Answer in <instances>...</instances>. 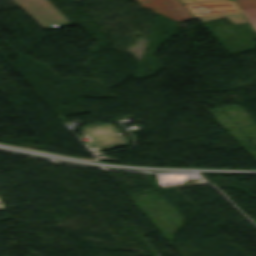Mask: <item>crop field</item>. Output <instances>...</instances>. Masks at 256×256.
Wrapping results in <instances>:
<instances>
[{"mask_svg":"<svg viewBox=\"0 0 256 256\" xmlns=\"http://www.w3.org/2000/svg\"><path fill=\"white\" fill-rule=\"evenodd\" d=\"M210 1H221V0H210Z\"/></svg>","mask_w":256,"mask_h":256,"instance_id":"7","label":"crop field"},{"mask_svg":"<svg viewBox=\"0 0 256 256\" xmlns=\"http://www.w3.org/2000/svg\"><path fill=\"white\" fill-rule=\"evenodd\" d=\"M256 29V8L242 10Z\"/></svg>","mask_w":256,"mask_h":256,"instance_id":"5","label":"crop field"},{"mask_svg":"<svg viewBox=\"0 0 256 256\" xmlns=\"http://www.w3.org/2000/svg\"><path fill=\"white\" fill-rule=\"evenodd\" d=\"M184 5L202 22L216 18H228L234 24L247 22L232 1L190 3Z\"/></svg>","mask_w":256,"mask_h":256,"instance_id":"2","label":"crop field"},{"mask_svg":"<svg viewBox=\"0 0 256 256\" xmlns=\"http://www.w3.org/2000/svg\"><path fill=\"white\" fill-rule=\"evenodd\" d=\"M241 9L256 7V0H235Z\"/></svg>","mask_w":256,"mask_h":256,"instance_id":"4","label":"crop field"},{"mask_svg":"<svg viewBox=\"0 0 256 256\" xmlns=\"http://www.w3.org/2000/svg\"><path fill=\"white\" fill-rule=\"evenodd\" d=\"M75 1H77V0H75Z\"/></svg>","mask_w":256,"mask_h":256,"instance_id":"8","label":"crop field"},{"mask_svg":"<svg viewBox=\"0 0 256 256\" xmlns=\"http://www.w3.org/2000/svg\"><path fill=\"white\" fill-rule=\"evenodd\" d=\"M44 29L66 26L69 21L47 0H13ZM41 27V28H42ZM42 28V29H43ZM43 29V30H44Z\"/></svg>","mask_w":256,"mask_h":256,"instance_id":"1","label":"crop field"},{"mask_svg":"<svg viewBox=\"0 0 256 256\" xmlns=\"http://www.w3.org/2000/svg\"><path fill=\"white\" fill-rule=\"evenodd\" d=\"M183 3H190V2H204L209 0H181Z\"/></svg>","mask_w":256,"mask_h":256,"instance_id":"6","label":"crop field"},{"mask_svg":"<svg viewBox=\"0 0 256 256\" xmlns=\"http://www.w3.org/2000/svg\"><path fill=\"white\" fill-rule=\"evenodd\" d=\"M140 5L155 10L179 22L194 19L190 11L178 0H136Z\"/></svg>","mask_w":256,"mask_h":256,"instance_id":"3","label":"crop field"}]
</instances>
